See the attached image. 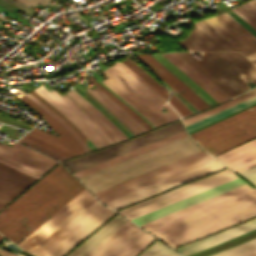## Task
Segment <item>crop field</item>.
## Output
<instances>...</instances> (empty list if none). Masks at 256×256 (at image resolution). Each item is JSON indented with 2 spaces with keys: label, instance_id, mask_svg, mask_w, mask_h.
<instances>
[{
  "label": "crop field",
  "instance_id": "crop-field-3",
  "mask_svg": "<svg viewBox=\"0 0 256 256\" xmlns=\"http://www.w3.org/2000/svg\"><path fill=\"white\" fill-rule=\"evenodd\" d=\"M201 151L188 136L109 166L79 180L92 192Z\"/></svg>",
  "mask_w": 256,
  "mask_h": 256
},
{
  "label": "crop field",
  "instance_id": "crop-field-44",
  "mask_svg": "<svg viewBox=\"0 0 256 256\" xmlns=\"http://www.w3.org/2000/svg\"><path fill=\"white\" fill-rule=\"evenodd\" d=\"M89 102H91L100 112H102L114 125H116L123 133L124 135L128 138L130 137L111 117H109L102 109H100L96 104H94L90 99L85 97Z\"/></svg>",
  "mask_w": 256,
  "mask_h": 256
},
{
  "label": "crop field",
  "instance_id": "crop-field-19",
  "mask_svg": "<svg viewBox=\"0 0 256 256\" xmlns=\"http://www.w3.org/2000/svg\"><path fill=\"white\" fill-rule=\"evenodd\" d=\"M256 228V218L235 227L229 228L212 236L206 237L189 245L176 249L180 254L186 256L216 243L222 242L234 236L240 235Z\"/></svg>",
  "mask_w": 256,
  "mask_h": 256
},
{
  "label": "crop field",
  "instance_id": "crop-field-40",
  "mask_svg": "<svg viewBox=\"0 0 256 256\" xmlns=\"http://www.w3.org/2000/svg\"><path fill=\"white\" fill-rule=\"evenodd\" d=\"M18 141L23 143V144H25V145H27V146H29V147H32V148H34V149H36V150H38V151H40V152H42L44 154H47V155H49V156H51V157H53V158H55L57 160L66 159V158H64V157H62V156H60L58 154H55V153H53V152H51V151H49L47 149H44V148H42V147H40V146H38V145H36L34 143H31V142L23 139V138L19 139Z\"/></svg>",
  "mask_w": 256,
  "mask_h": 256
},
{
  "label": "crop field",
  "instance_id": "crop-field-26",
  "mask_svg": "<svg viewBox=\"0 0 256 256\" xmlns=\"http://www.w3.org/2000/svg\"><path fill=\"white\" fill-rule=\"evenodd\" d=\"M255 102H256V96L251 97V98H249V99H247L245 101H242V102H240V103H238L236 105H233V106H231L229 108H226V109H224V110H222L220 112H217V113H215V114H213L211 116H208V117H206V118H204L202 120H199V121H197L195 123H192V124L186 126L185 127L186 131L189 132V131H191L193 129H196V128L202 126V125H205V124H207L209 122H212V121H214V120H216L218 118H221V117H223L225 115H228V114H230V113H232L234 111H237V110H239L241 108H244V107H246V106H248L250 104H253Z\"/></svg>",
  "mask_w": 256,
  "mask_h": 256
},
{
  "label": "crop field",
  "instance_id": "crop-field-49",
  "mask_svg": "<svg viewBox=\"0 0 256 256\" xmlns=\"http://www.w3.org/2000/svg\"><path fill=\"white\" fill-rule=\"evenodd\" d=\"M3 236L0 235V240L2 239ZM0 256H16L14 254L8 253L6 251L0 250Z\"/></svg>",
  "mask_w": 256,
  "mask_h": 256
},
{
  "label": "crop field",
  "instance_id": "crop-field-37",
  "mask_svg": "<svg viewBox=\"0 0 256 256\" xmlns=\"http://www.w3.org/2000/svg\"><path fill=\"white\" fill-rule=\"evenodd\" d=\"M23 138H25V139H27V140H29L31 142H34V143H36V144H38V145H40L42 147H45V148H47V149H49V150H51V151H53L55 153H58V154L66 157V158L74 156V155H72V154H70L68 152H65V151H63V150H61V149H59L57 147H54V146H52V145H50L48 143H45V142H43V141H41V140H39L37 138H34V137H32V136H30L28 134H26Z\"/></svg>",
  "mask_w": 256,
  "mask_h": 256
},
{
  "label": "crop field",
  "instance_id": "crop-field-30",
  "mask_svg": "<svg viewBox=\"0 0 256 256\" xmlns=\"http://www.w3.org/2000/svg\"><path fill=\"white\" fill-rule=\"evenodd\" d=\"M83 119L86 127L87 137L97 148L112 143V141L107 138L84 114Z\"/></svg>",
  "mask_w": 256,
  "mask_h": 256
},
{
  "label": "crop field",
  "instance_id": "crop-field-28",
  "mask_svg": "<svg viewBox=\"0 0 256 256\" xmlns=\"http://www.w3.org/2000/svg\"><path fill=\"white\" fill-rule=\"evenodd\" d=\"M127 60L121 62L146 83H148L152 88H154L158 93H160L166 100L168 98V92L161 86L153 77H151L147 72H145L141 67L134 63L130 58L125 56Z\"/></svg>",
  "mask_w": 256,
  "mask_h": 256
},
{
  "label": "crop field",
  "instance_id": "crop-field-18",
  "mask_svg": "<svg viewBox=\"0 0 256 256\" xmlns=\"http://www.w3.org/2000/svg\"><path fill=\"white\" fill-rule=\"evenodd\" d=\"M237 172L256 164V139L215 156Z\"/></svg>",
  "mask_w": 256,
  "mask_h": 256
},
{
  "label": "crop field",
  "instance_id": "crop-field-43",
  "mask_svg": "<svg viewBox=\"0 0 256 256\" xmlns=\"http://www.w3.org/2000/svg\"><path fill=\"white\" fill-rule=\"evenodd\" d=\"M169 102L172 103L177 109L178 111L183 115H188V114H191L175 97H173L171 94H170V99H169Z\"/></svg>",
  "mask_w": 256,
  "mask_h": 256
},
{
  "label": "crop field",
  "instance_id": "crop-field-23",
  "mask_svg": "<svg viewBox=\"0 0 256 256\" xmlns=\"http://www.w3.org/2000/svg\"><path fill=\"white\" fill-rule=\"evenodd\" d=\"M108 78L102 83L108 86L113 92H115L118 96L127 101L133 108H135L142 116H144L150 123H152L155 127L165 123L157 114H155L149 107L143 104L140 100H138L135 96H133L130 92L116 83L111 77L102 71Z\"/></svg>",
  "mask_w": 256,
  "mask_h": 256
},
{
  "label": "crop field",
  "instance_id": "crop-field-7",
  "mask_svg": "<svg viewBox=\"0 0 256 256\" xmlns=\"http://www.w3.org/2000/svg\"><path fill=\"white\" fill-rule=\"evenodd\" d=\"M235 178H237V176L234 174V172H232L229 168H226L218 173L207 176L161 195L152 197L118 212L127 219L131 220Z\"/></svg>",
  "mask_w": 256,
  "mask_h": 256
},
{
  "label": "crop field",
  "instance_id": "crop-field-1",
  "mask_svg": "<svg viewBox=\"0 0 256 256\" xmlns=\"http://www.w3.org/2000/svg\"><path fill=\"white\" fill-rule=\"evenodd\" d=\"M254 216L256 190L244 185L140 226L174 248Z\"/></svg>",
  "mask_w": 256,
  "mask_h": 256
},
{
  "label": "crop field",
  "instance_id": "crop-field-57",
  "mask_svg": "<svg viewBox=\"0 0 256 256\" xmlns=\"http://www.w3.org/2000/svg\"><path fill=\"white\" fill-rule=\"evenodd\" d=\"M18 256H22V255L19 254Z\"/></svg>",
  "mask_w": 256,
  "mask_h": 256
},
{
  "label": "crop field",
  "instance_id": "crop-field-12",
  "mask_svg": "<svg viewBox=\"0 0 256 256\" xmlns=\"http://www.w3.org/2000/svg\"><path fill=\"white\" fill-rule=\"evenodd\" d=\"M223 168H225L223 165H221L220 163H218L217 161L214 160L210 163L204 164L197 168L191 169L184 173L178 174L171 178H168V179H165L158 183H155L153 185L147 186L140 190H137V191H134L127 195L121 196L119 198H116V199L106 202L104 204L109 206L110 208L116 210L118 208L124 207L131 203L137 202L144 198L150 197L157 193L171 189L173 187L184 184L186 182L197 179L199 177H202L204 175L210 174L212 172H215V171L223 169Z\"/></svg>",
  "mask_w": 256,
  "mask_h": 256
},
{
  "label": "crop field",
  "instance_id": "crop-field-24",
  "mask_svg": "<svg viewBox=\"0 0 256 256\" xmlns=\"http://www.w3.org/2000/svg\"><path fill=\"white\" fill-rule=\"evenodd\" d=\"M186 135H187V134H186L185 131L183 130V131H181V132H178V133L173 134V135H171V136L165 137V138H163V139H160V140H158V141H155V142L150 143V144H148V145H145V146H143V147L137 148V149H135V150H132V151H130V152H127V153H125V154H122V155H120V156H117V157H115V158L109 159V160H107V161H104V162H102V163H99V164H97V165H94V166H92V167H89V168H87V169H84V170H81V171H79V172H76V173H74V175H75L77 178H79V177H81V176H84V175H86V174L92 173V172H94V171H97V170L102 169V168H104V167H107V166H109V165L115 164V163H117V162H120V161H122V160H125V159H127V158H130V157H132V156L138 155V154L143 153V152H145V151H148V150H150V149L156 148V147H158V146H161V145L166 144V143H168V142H171V141H173V140H176V139H179V138H181V137H184V136H186Z\"/></svg>",
  "mask_w": 256,
  "mask_h": 256
},
{
  "label": "crop field",
  "instance_id": "crop-field-22",
  "mask_svg": "<svg viewBox=\"0 0 256 256\" xmlns=\"http://www.w3.org/2000/svg\"><path fill=\"white\" fill-rule=\"evenodd\" d=\"M127 221L128 220L117 214L67 256L87 255L91 250H93L97 245H99Z\"/></svg>",
  "mask_w": 256,
  "mask_h": 256
},
{
  "label": "crop field",
  "instance_id": "crop-field-45",
  "mask_svg": "<svg viewBox=\"0 0 256 256\" xmlns=\"http://www.w3.org/2000/svg\"><path fill=\"white\" fill-rule=\"evenodd\" d=\"M256 253V245L253 246V247H250L248 249H245L243 251H240L238 253H235L233 255H230V256H248V255H251V254H254Z\"/></svg>",
  "mask_w": 256,
  "mask_h": 256
},
{
  "label": "crop field",
  "instance_id": "crop-field-21",
  "mask_svg": "<svg viewBox=\"0 0 256 256\" xmlns=\"http://www.w3.org/2000/svg\"><path fill=\"white\" fill-rule=\"evenodd\" d=\"M33 91L37 92L43 99H45L52 106H54L62 115H64L85 135V128L81 112H79L71 104H69L55 90L51 89L48 92L44 87L40 86Z\"/></svg>",
  "mask_w": 256,
  "mask_h": 256
},
{
  "label": "crop field",
  "instance_id": "crop-field-8",
  "mask_svg": "<svg viewBox=\"0 0 256 256\" xmlns=\"http://www.w3.org/2000/svg\"><path fill=\"white\" fill-rule=\"evenodd\" d=\"M210 160L212 159L199 152L107 189L96 192L94 195L103 203Z\"/></svg>",
  "mask_w": 256,
  "mask_h": 256
},
{
  "label": "crop field",
  "instance_id": "crop-field-31",
  "mask_svg": "<svg viewBox=\"0 0 256 256\" xmlns=\"http://www.w3.org/2000/svg\"><path fill=\"white\" fill-rule=\"evenodd\" d=\"M83 107L87 111H89L95 118L100 120L119 141L126 139L123 133L87 100L84 101Z\"/></svg>",
  "mask_w": 256,
  "mask_h": 256
},
{
  "label": "crop field",
  "instance_id": "crop-field-33",
  "mask_svg": "<svg viewBox=\"0 0 256 256\" xmlns=\"http://www.w3.org/2000/svg\"><path fill=\"white\" fill-rule=\"evenodd\" d=\"M87 79L92 82L98 89H100L106 96L111 100L120 105L124 110H126L131 116H133L137 121H139L147 130L152 129L147 123H145L137 114H135L128 106H126L121 100L111 95L106 91L99 83H97L89 74H87Z\"/></svg>",
  "mask_w": 256,
  "mask_h": 256
},
{
  "label": "crop field",
  "instance_id": "crop-field-53",
  "mask_svg": "<svg viewBox=\"0 0 256 256\" xmlns=\"http://www.w3.org/2000/svg\"><path fill=\"white\" fill-rule=\"evenodd\" d=\"M193 53H195V52H193ZM198 55L200 54L199 52H196Z\"/></svg>",
  "mask_w": 256,
  "mask_h": 256
},
{
  "label": "crop field",
  "instance_id": "crop-field-54",
  "mask_svg": "<svg viewBox=\"0 0 256 256\" xmlns=\"http://www.w3.org/2000/svg\"><path fill=\"white\" fill-rule=\"evenodd\" d=\"M251 256H256V254H254V255H251Z\"/></svg>",
  "mask_w": 256,
  "mask_h": 256
},
{
  "label": "crop field",
  "instance_id": "crop-field-20",
  "mask_svg": "<svg viewBox=\"0 0 256 256\" xmlns=\"http://www.w3.org/2000/svg\"><path fill=\"white\" fill-rule=\"evenodd\" d=\"M22 101L29 104L35 111H37L40 116L44 119V121L56 132V134L60 137L53 136L49 133L41 131L37 128L33 129L32 131L39 133L45 137H48L52 140H55L61 144H64L71 148L75 155L84 153L85 151L81 148V146L73 139V137L50 115H48L45 111H43L38 105H36L32 100L28 99L25 96H22ZM28 105V106H29Z\"/></svg>",
  "mask_w": 256,
  "mask_h": 256
},
{
  "label": "crop field",
  "instance_id": "crop-field-9",
  "mask_svg": "<svg viewBox=\"0 0 256 256\" xmlns=\"http://www.w3.org/2000/svg\"><path fill=\"white\" fill-rule=\"evenodd\" d=\"M256 137V112L203 135L195 141L215 156Z\"/></svg>",
  "mask_w": 256,
  "mask_h": 256
},
{
  "label": "crop field",
  "instance_id": "crop-field-36",
  "mask_svg": "<svg viewBox=\"0 0 256 256\" xmlns=\"http://www.w3.org/2000/svg\"><path fill=\"white\" fill-rule=\"evenodd\" d=\"M114 64L117 65L118 67H120L126 73H128L131 77H133L142 87H144L146 90H148L154 96H156L163 104L165 103L166 100L160 94H158L154 89H152L148 84H146L143 80H141L133 72H131L129 69H127L124 65H122L120 62H114Z\"/></svg>",
  "mask_w": 256,
  "mask_h": 256
},
{
  "label": "crop field",
  "instance_id": "crop-field-5",
  "mask_svg": "<svg viewBox=\"0 0 256 256\" xmlns=\"http://www.w3.org/2000/svg\"><path fill=\"white\" fill-rule=\"evenodd\" d=\"M197 60L191 53H180L201 72L209 77L231 97L247 90L246 84L239 77L243 73L256 83V66L238 52H203Z\"/></svg>",
  "mask_w": 256,
  "mask_h": 256
},
{
  "label": "crop field",
  "instance_id": "crop-field-48",
  "mask_svg": "<svg viewBox=\"0 0 256 256\" xmlns=\"http://www.w3.org/2000/svg\"><path fill=\"white\" fill-rule=\"evenodd\" d=\"M68 102H70L74 107H76L79 111H81V106L78 105L75 101H73L69 96L66 94L62 95Z\"/></svg>",
  "mask_w": 256,
  "mask_h": 256
},
{
  "label": "crop field",
  "instance_id": "crop-field-11",
  "mask_svg": "<svg viewBox=\"0 0 256 256\" xmlns=\"http://www.w3.org/2000/svg\"><path fill=\"white\" fill-rule=\"evenodd\" d=\"M155 239L128 221L87 256H135Z\"/></svg>",
  "mask_w": 256,
  "mask_h": 256
},
{
  "label": "crop field",
  "instance_id": "crop-field-2",
  "mask_svg": "<svg viewBox=\"0 0 256 256\" xmlns=\"http://www.w3.org/2000/svg\"><path fill=\"white\" fill-rule=\"evenodd\" d=\"M84 189L60 164L0 212V233L17 245Z\"/></svg>",
  "mask_w": 256,
  "mask_h": 256
},
{
  "label": "crop field",
  "instance_id": "crop-field-32",
  "mask_svg": "<svg viewBox=\"0 0 256 256\" xmlns=\"http://www.w3.org/2000/svg\"><path fill=\"white\" fill-rule=\"evenodd\" d=\"M254 111H256V105L251 107V108H249V109H246V110H244V111H242L240 113H237V114H235V115H233V116H231L229 118H226V119H224V120H222L220 122H217V123H215V124H213L211 126H208V127L204 128V129H202L200 131H197V132L191 134V136H192L193 139H195V138H197V137H199V136H201L203 134H206V133H208V132H210V131H212L214 129H217V128L225 125V124H228V123H230V122H232V121H234L236 119H239V118H241V117H243L245 115H248V114H250V113H252Z\"/></svg>",
  "mask_w": 256,
  "mask_h": 256
},
{
  "label": "crop field",
  "instance_id": "crop-field-27",
  "mask_svg": "<svg viewBox=\"0 0 256 256\" xmlns=\"http://www.w3.org/2000/svg\"><path fill=\"white\" fill-rule=\"evenodd\" d=\"M254 95H256V88H254V89H252V90H250V91H248V92H246V93H244V94H242V95H240V96H238V97H236V98H234V99H232V100H230L228 102H225V103L220 104V105H218L216 107H213L211 109H208L206 111H203V112L198 113V114H196L194 116H191L189 118L184 119L183 120L184 121V125L186 126V125H188V124H190L192 122H195V121H197L199 119H202V118H204V117H206L208 115H211V114H213V113H215L217 111H220V110H222V109H224L226 107H229V106H231L233 104H236V103H238V102H240L242 100H245V99H247V98H249L251 96H254Z\"/></svg>",
  "mask_w": 256,
  "mask_h": 256
},
{
  "label": "crop field",
  "instance_id": "crop-field-25",
  "mask_svg": "<svg viewBox=\"0 0 256 256\" xmlns=\"http://www.w3.org/2000/svg\"><path fill=\"white\" fill-rule=\"evenodd\" d=\"M87 91L90 92L94 97H96L100 102H102L135 134L145 130V128L140 123H138L131 116H129L120 106L111 101L96 87L92 90L89 87H87Z\"/></svg>",
  "mask_w": 256,
  "mask_h": 256
},
{
  "label": "crop field",
  "instance_id": "crop-field-42",
  "mask_svg": "<svg viewBox=\"0 0 256 256\" xmlns=\"http://www.w3.org/2000/svg\"><path fill=\"white\" fill-rule=\"evenodd\" d=\"M239 174L256 185V165L239 172Z\"/></svg>",
  "mask_w": 256,
  "mask_h": 256
},
{
  "label": "crop field",
  "instance_id": "crop-field-55",
  "mask_svg": "<svg viewBox=\"0 0 256 256\" xmlns=\"http://www.w3.org/2000/svg\"><path fill=\"white\" fill-rule=\"evenodd\" d=\"M87 151H89L88 147H87Z\"/></svg>",
  "mask_w": 256,
  "mask_h": 256
},
{
  "label": "crop field",
  "instance_id": "crop-field-13",
  "mask_svg": "<svg viewBox=\"0 0 256 256\" xmlns=\"http://www.w3.org/2000/svg\"><path fill=\"white\" fill-rule=\"evenodd\" d=\"M144 65H146L154 74L166 82L188 102H190L198 111L209 107L194 91L178 79L171 71L159 64L150 55L140 54L136 56Z\"/></svg>",
  "mask_w": 256,
  "mask_h": 256
},
{
  "label": "crop field",
  "instance_id": "crop-field-46",
  "mask_svg": "<svg viewBox=\"0 0 256 256\" xmlns=\"http://www.w3.org/2000/svg\"><path fill=\"white\" fill-rule=\"evenodd\" d=\"M32 7H34L35 5H37L38 3L42 4V5H50L49 0H20ZM41 5V6H42Z\"/></svg>",
  "mask_w": 256,
  "mask_h": 256
},
{
  "label": "crop field",
  "instance_id": "crop-field-52",
  "mask_svg": "<svg viewBox=\"0 0 256 256\" xmlns=\"http://www.w3.org/2000/svg\"><path fill=\"white\" fill-rule=\"evenodd\" d=\"M75 91H76L77 93H79L82 97H84V95H83L82 93H80L77 89H75Z\"/></svg>",
  "mask_w": 256,
  "mask_h": 256
},
{
  "label": "crop field",
  "instance_id": "crop-field-4",
  "mask_svg": "<svg viewBox=\"0 0 256 256\" xmlns=\"http://www.w3.org/2000/svg\"><path fill=\"white\" fill-rule=\"evenodd\" d=\"M194 24L196 29L178 42L186 50L240 51L256 65V38L226 13Z\"/></svg>",
  "mask_w": 256,
  "mask_h": 256
},
{
  "label": "crop field",
  "instance_id": "crop-field-17",
  "mask_svg": "<svg viewBox=\"0 0 256 256\" xmlns=\"http://www.w3.org/2000/svg\"><path fill=\"white\" fill-rule=\"evenodd\" d=\"M0 161L30 173L36 177H39L51 167V165L45 162L3 144H0Z\"/></svg>",
  "mask_w": 256,
  "mask_h": 256
},
{
  "label": "crop field",
  "instance_id": "crop-field-47",
  "mask_svg": "<svg viewBox=\"0 0 256 256\" xmlns=\"http://www.w3.org/2000/svg\"><path fill=\"white\" fill-rule=\"evenodd\" d=\"M71 91L66 92L70 97H72L77 103L82 104L83 98L78 95L73 89L69 88Z\"/></svg>",
  "mask_w": 256,
  "mask_h": 256
},
{
  "label": "crop field",
  "instance_id": "crop-field-41",
  "mask_svg": "<svg viewBox=\"0 0 256 256\" xmlns=\"http://www.w3.org/2000/svg\"><path fill=\"white\" fill-rule=\"evenodd\" d=\"M83 113L101 130L103 131L113 142L117 141V139L93 116H91L87 111L83 109Z\"/></svg>",
  "mask_w": 256,
  "mask_h": 256
},
{
  "label": "crop field",
  "instance_id": "crop-field-35",
  "mask_svg": "<svg viewBox=\"0 0 256 256\" xmlns=\"http://www.w3.org/2000/svg\"><path fill=\"white\" fill-rule=\"evenodd\" d=\"M16 89V88H15ZM18 90V89H17ZM20 91V90H18ZM23 93L22 91H20ZM25 94V93H23ZM25 96L32 99L36 104H38L43 110H45L47 113H49L52 117H54L74 138L75 140L83 147L85 150L86 144L80 139V137L70 128L68 127L62 120H60L54 113H52L46 106H44L41 102H39L37 99H35L33 96H31L29 93L25 94Z\"/></svg>",
  "mask_w": 256,
  "mask_h": 256
},
{
  "label": "crop field",
  "instance_id": "crop-field-14",
  "mask_svg": "<svg viewBox=\"0 0 256 256\" xmlns=\"http://www.w3.org/2000/svg\"><path fill=\"white\" fill-rule=\"evenodd\" d=\"M36 178L0 162V208Z\"/></svg>",
  "mask_w": 256,
  "mask_h": 256
},
{
  "label": "crop field",
  "instance_id": "crop-field-29",
  "mask_svg": "<svg viewBox=\"0 0 256 256\" xmlns=\"http://www.w3.org/2000/svg\"><path fill=\"white\" fill-rule=\"evenodd\" d=\"M232 11L256 30V0H250Z\"/></svg>",
  "mask_w": 256,
  "mask_h": 256
},
{
  "label": "crop field",
  "instance_id": "crop-field-34",
  "mask_svg": "<svg viewBox=\"0 0 256 256\" xmlns=\"http://www.w3.org/2000/svg\"><path fill=\"white\" fill-rule=\"evenodd\" d=\"M139 256H179V255L173 252L172 250L166 248L159 241H157Z\"/></svg>",
  "mask_w": 256,
  "mask_h": 256
},
{
  "label": "crop field",
  "instance_id": "crop-field-6",
  "mask_svg": "<svg viewBox=\"0 0 256 256\" xmlns=\"http://www.w3.org/2000/svg\"><path fill=\"white\" fill-rule=\"evenodd\" d=\"M113 214H115L114 211L96 200L32 254L36 256H64Z\"/></svg>",
  "mask_w": 256,
  "mask_h": 256
},
{
  "label": "crop field",
  "instance_id": "crop-field-39",
  "mask_svg": "<svg viewBox=\"0 0 256 256\" xmlns=\"http://www.w3.org/2000/svg\"><path fill=\"white\" fill-rule=\"evenodd\" d=\"M255 244H256V239H253V240H251V241L245 242V243H243V244H240V245L235 246V247H233V248L227 249V250L222 251V252H220V253L214 254V255H212V256H228V255H230V254H233V253H235V252H238V251H240V250H243V249L248 248V247H250V246H253V245H255Z\"/></svg>",
  "mask_w": 256,
  "mask_h": 256
},
{
  "label": "crop field",
  "instance_id": "crop-field-50",
  "mask_svg": "<svg viewBox=\"0 0 256 256\" xmlns=\"http://www.w3.org/2000/svg\"><path fill=\"white\" fill-rule=\"evenodd\" d=\"M6 1L12 3L13 5H15V6H17L18 8L22 9L23 11L29 13L28 11H26V10H24L23 8L19 7L14 1H12V0H6Z\"/></svg>",
  "mask_w": 256,
  "mask_h": 256
},
{
  "label": "crop field",
  "instance_id": "crop-field-16",
  "mask_svg": "<svg viewBox=\"0 0 256 256\" xmlns=\"http://www.w3.org/2000/svg\"><path fill=\"white\" fill-rule=\"evenodd\" d=\"M197 83L217 103L231 98L178 53L161 54Z\"/></svg>",
  "mask_w": 256,
  "mask_h": 256
},
{
  "label": "crop field",
  "instance_id": "crop-field-10",
  "mask_svg": "<svg viewBox=\"0 0 256 256\" xmlns=\"http://www.w3.org/2000/svg\"><path fill=\"white\" fill-rule=\"evenodd\" d=\"M183 130L181 121L166 125L144 135L138 136L126 142L63 162V164L72 172L79 171L92 166L114 156L120 155L142 145L148 144L170 134Z\"/></svg>",
  "mask_w": 256,
  "mask_h": 256
},
{
  "label": "crop field",
  "instance_id": "crop-field-56",
  "mask_svg": "<svg viewBox=\"0 0 256 256\" xmlns=\"http://www.w3.org/2000/svg\"><path fill=\"white\" fill-rule=\"evenodd\" d=\"M1 18V17H0ZM3 19V18H2ZM3 20H5V19H3ZM5 21H7V20H5Z\"/></svg>",
  "mask_w": 256,
  "mask_h": 256
},
{
  "label": "crop field",
  "instance_id": "crop-field-15",
  "mask_svg": "<svg viewBox=\"0 0 256 256\" xmlns=\"http://www.w3.org/2000/svg\"><path fill=\"white\" fill-rule=\"evenodd\" d=\"M243 184H245V183L242 180H240L239 178H237L235 180H232V181L227 182L225 184L219 185L217 187H214L212 189H209L207 191H204L202 193H199V194L194 195L192 197H189L187 199L181 200L179 202H176L174 204H171L169 206H166L164 208H161V209L156 210L154 212H151L149 214L143 215V216L138 217L136 219H133L131 221L140 225L142 223L148 222L150 220H153V219L158 218L160 216L166 215L168 213H171V212L176 211L178 209L184 208L186 206H189V205L194 204L196 202L202 201L204 199H207L209 197L220 194L222 192H225L227 190H230L232 188L238 187V186L243 185Z\"/></svg>",
  "mask_w": 256,
  "mask_h": 256
},
{
  "label": "crop field",
  "instance_id": "crop-field-38",
  "mask_svg": "<svg viewBox=\"0 0 256 256\" xmlns=\"http://www.w3.org/2000/svg\"><path fill=\"white\" fill-rule=\"evenodd\" d=\"M13 147L18 149V150H21V151H23V152H25V153H27L29 155H32V156H34V157H36V158H38L40 160H43V161H45V162H47V163H49L51 165H53L54 163L57 162L56 160H54V159H52L50 157H47V156H45L43 154H40V153H38V152H36L34 150H31V149H29L27 147H24V146L20 145L18 143H14Z\"/></svg>",
  "mask_w": 256,
  "mask_h": 256
},
{
  "label": "crop field",
  "instance_id": "crop-field-51",
  "mask_svg": "<svg viewBox=\"0 0 256 256\" xmlns=\"http://www.w3.org/2000/svg\"><path fill=\"white\" fill-rule=\"evenodd\" d=\"M17 1V3L19 4V5H21L22 7H25L27 10L30 8V7H28V6H26V5H24L23 3H21V2H19L18 0H16ZM29 11V10H28ZM31 12V11H30ZM33 13V12H32Z\"/></svg>",
  "mask_w": 256,
  "mask_h": 256
}]
</instances>
